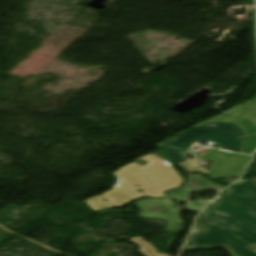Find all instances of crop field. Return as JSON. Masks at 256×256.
Returning <instances> with one entry per match:
<instances>
[{
  "label": "crop field",
  "mask_w": 256,
  "mask_h": 256,
  "mask_svg": "<svg viewBox=\"0 0 256 256\" xmlns=\"http://www.w3.org/2000/svg\"><path fill=\"white\" fill-rule=\"evenodd\" d=\"M214 153H218V155H214ZM222 156V158L220 157ZM250 156L234 154L223 150H217L211 148L204 156H199L183 165L186 167L185 171L193 172L198 171L200 173H204L197 169L192 162L205 159L212 161V165L209 171L206 173L213 178H226V177H238L246 167L247 163L250 160Z\"/></svg>",
  "instance_id": "4"
},
{
  "label": "crop field",
  "mask_w": 256,
  "mask_h": 256,
  "mask_svg": "<svg viewBox=\"0 0 256 256\" xmlns=\"http://www.w3.org/2000/svg\"><path fill=\"white\" fill-rule=\"evenodd\" d=\"M207 225L203 238H196L199 228ZM191 235L195 242L185 250L223 246L232 256H256V252L250 250L256 245V229L232 215L212 209V204L201 213Z\"/></svg>",
  "instance_id": "2"
},
{
  "label": "crop field",
  "mask_w": 256,
  "mask_h": 256,
  "mask_svg": "<svg viewBox=\"0 0 256 256\" xmlns=\"http://www.w3.org/2000/svg\"><path fill=\"white\" fill-rule=\"evenodd\" d=\"M242 136L241 130L232 123L210 122L202 127L190 128L157 146L165 153V158L175 165L189 160L181 156L186 154L188 147L198 140L239 152L244 142Z\"/></svg>",
  "instance_id": "3"
},
{
  "label": "crop field",
  "mask_w": 256,
  "mask_h": 256,
  "mask_svg": "<svg viewBox=\"0 0 256 256\" xmlns=\"http://www.w3.org/2000/svg\"><path fill=\"white\" fill-rule=\"evenodd\" d=\"M144 159L150 161L144 167L130 163L114 172L118 179L116 186L101 196L86 200V204L94 211L108 207H121L143 196L164 197L163 191L176 188L183 183L182 178L164 160L153 156H147ZM146 178L148 180L144 181ZM149 181L152 184H149ZM135 185L141 186L144 190L141 193L134 192L137 189ZM163 185L166 186L163 187ZM104 199L109 201H102Z\"/></svg>",
  "instance_id": "1"
},
{
  "label": "crop field",
  "mask_w": 256,
  "mask_h": 256,
  "mask_svg": "<svg viewBox=\"0 0 256 256\" xmlns=\"http://www.w3.org/2000/svg\"><path fill=\"white\" fill-rule=\"evenodd\" d=\"M245 112L238 117L233 123L245 130L249 138L243 145L241 153H256V97L250 98L244 104Z\"/></svg>",
  "instance_id": "6"
},
{
  "label": "crop field",
  "mask_w": 256,
  "mask_h": 256,
  "mask_svg": "<svg viewBox=\"0 0 256 256\" xmlns=\"http://www.w3.org/2000/svg\"><path fill=\"white\" fill-rule=\"evenodd\" d=\"M249 182L229 187L221 196L256 214V177Z\"/></svg>",
  "instance_id": "5"
},
{
  "label": "crop field",
  "mask_w": 256,
  "mask_h": 256,
  "mask_svg": "<svg viewBox=\"0 0 256 256\" xmlns=\"http://www.w3.org/2000/svg\"><path fill=\"white\" fill-rule=\"evenodd\" d=\"M193 241H194V240H192L191 237H190L189 242H193ZM189 242H188V243H189Z\"/></svg>",
  "instance_id": "11"
},
{
  "label": "crop field",
  "mask_w": 256,
  "mask_h": 256,
  "mask_svg": "<svg viewBox=\"0 0 256 256\" xmlns=\"http://www.w3.org/2000/svg\"><path fill=\"white\" fill-rule=\"evenodd\" d=\"M206 227H204V228H201L200 230H199V232H198V234H197V237H202L203 236V234H204V232H205V229Z\"/></svg>",
  "instance_id": "10"
},
{
  "label": "crop field",
  "mask_w": 256,
  "mask_h": 256,
  "mask_svg": "<svg viewBox=\"0 0 256 256\" xmlns=\"http://www.w3.org/2000/svg\"><path fill=\"white\" fill-rule=\"evenodd\" d=\"M193 192V190L191 189H185L183 191H180V192H177L174 197L186 202L184 207L186 208H189V209H192V210H197L199 211L207 202L208 200H201V201H197L200 203V206L199 207H194L191 202H188V196L189 194ZM194 202V201H193Z\"/></svg>",
  "instance_id": "9"
},
{
  "label": "crop field",
  "mask_w": 256,
  "mask_h": 256,
  "mask_svg": "<svg viewBox=\"0 0 256 256\" xmlns=\"http://www.w3.org/2000/svg\"><path fill=\"white\" fill-rule=\"evenodd\" d=\"M215 208L234 214L256 227V215L224 200L221 196L216 197Z\"/></svg>",
  "instance_id": "7"
},
{
  "label": "crop field",
  "mask_w": 256,
  "mask_h": 256,
  "mask_svg": "<svg viewBox=\"0 0 256 256\" xmlns=\"http://www.w3.org/2000/svg\"><path fill=\"white\" fill-rule=\"evenodd\" d=\"M243 112H244L243 104L242 105H238V106H235V107L227 110L226 112H224V113H222V114H220V115L210 119V120H207V121H205L203 123H200V124H197L195 126H202L205 123L210 122V121L230 123L233 120H235L238 116H240Z\"/></svg>",
  "instance_id": "8"
}]
</instances>
